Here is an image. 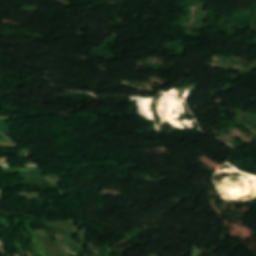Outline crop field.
<instances>
[{
    "label": "crop field",
    "instance_id": "34b2d1b8",
    "mask_svg": "<svg viewBox=\"0 0 256 256\" xmlns=\"http://www.w3.org/2000/svg\"><path fill=\"white\" fill-rule=\"evenodd\" d=\"M0 132H2L3 134H13L8 128L7 118L0 119Z\"/></svg>",
    "mask_w": 256,
    "mask_h": 256
},
{
    "label": "crop field",
    "instance_id": "e52e79f7",
    "mask_svg": "<svg viewBox=\"0 0 256 256\" xmlns=\"http://www.w3.org/2000/svg\"><path fill=\"white\" fill-rule=\"evenodd\" d=\"M0 141H10L9 139H0Z\"/></svg>",
    "mask_w": 256,
    "mask_h": 256
},
{
    "label": "crop field",
    "instance_id": "dd49c442",
    "mask_svg": "<svg viewBox=\"0 0 256 256\" xmlns=\"http://www.w3.org/2000/svg\"><path fill=\"white\" fill-rule=\"evenodd\" d=\"M20 175H24V174H42L41 172H19Z\"/></svg>",
    "mask_w": 256,
    "mask_h": 256
},
{
    "label": "crop field",
    "instance_id": "d8731c3e",
    "mask_svg": "<svg viewBox=\"0 0 256 256\" xmlns=\"http://www.w3.org/2000/svg\"><path fill=\"white\" fill-rule=\"evenodd\" d=\"M4 198L3 196L0 195V199Z\"/></svg>",
    "mask_w": 256,
    "mask_h": 256
},
{
    "label": "crop field",
    "instance_id": "8a807250",
    "mask_svg": "<svg viewBox=\"0 0 256 256\" xmlns=\"http://www.w3.org/2000/svg\"><path fill=\"white\" fill-rule=\"evenodd\" d=\"M18 185H45L52 184L46 179H25L24 182H18Z\"/></svg>",
    "mask_w": 256,
    "mask_h": 256
},
{
    "label": "crop field",
    "instance_id": "412701ff",
    "mask_svg": "<svg viewBox=\"0 0 256 256\" xmlns=\"http://www.w3.org/2000/svg\"><path fill=\"white\" fill-rule=\"evenodd\" d=\"M72 248V251L73 253L78 256V253H80V255H85V251H84V245H81V246H74V247H71Z\"/></svg>",
    "mask_w": 256,
    "mask_h": 256
},
{
    "label": "crop field",
    "instance_id": "f4fd0767",
    "mask_svg": "<svg viewBox=\"0 0 256 256\" xmlns=\"http://www.w3.org/2000/svg\"><path fill=\"white\" fill-rule=\"evenodd\" d=\"M50 227L53 228L54 231H58V232H62V233L70 234V235L75 234V232H71V231H68V230L53 226V225H51Z\"/></svg>",
    "mask_w": 256,
    "mask_h": 256
},
{
    "label": "crop field",
    "instance_id": "ac0d7876",
    "mask_svg": "<svg viewBox=\"0 0 256 256\" xmlns=\"http://www.w3.org/2000/svg\"><path fill=\"white\" fill-rule=\"evenodd\" d=\"M26 227H27L28 232L31 234V236H32V238H33V240H34V242H35V244H36V246H37L41 256H46V254L44 253V251H43V249H42V247H41V245H40V243H39V241H38V239H37V237H36L32 227L29 224V222L26 223Z\"/></svg>",
    "mask_w": 256,
    "mask_h": 256
},
{
    "label": "crop field",
    "instance_id": "5a996713",
    "mask_svg": "<svg viewBox=\"0 0 256 256\" xmlns=\"http://www.w3.org/2000/svg\"><path fill=\"white\" fill-rule=\"evenodd\" d=\"M1 190V189H0Z\"/></svg>",
    "mask_w": 256,
    "mask_h": 256
}]
</instances>
